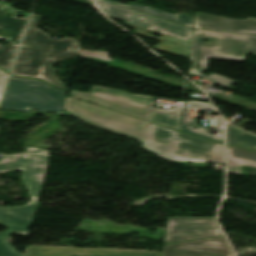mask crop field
<instances>
[{
  "label": "crop field",
  "instance_id": "1",
  "mask_svg": "<svg viewBox=\"0 0 256 256\" xmlns=\"http://www.w3.org/2000/svg\"><path fill=\"white\" fill-rule=\"evenodd\" d=\"M40 18L39 15H32L16 60L26 62L21 76L43 79L59 89H67L68 85L57 78V69L53 66L54 63L68 58L76 59L80 44L76 39L69 37L51 39L47 33L37 28Z\"/></svg>",
  "mask_w": 256,
  "mask_h": 256
},
{
  "label": "crop field",
  "instance_id": "2",
  "mask_svg": "<svg viewBox=\"0 0 256 256\" xmlns=\"http://www.w3.org/2000/svg\"><path fill=\"white\" fill-rule=\"evenodd\" d=\"M142 148L174 161H196L224 164L223 145L149 124Z\"/></svg>",
  "mask_w": 256,
  "mask_h": 256
},
{
  "label": "crop field",
  "instance_id": "3",
  "mask_svg": "<svg viewBox=\"0 0 256 256\" xmlns=\"http://www.w3.org/2000/svg\"><path fill=\"white\" fill-rule=\"evenodd\" d=\"M245 54L256 55L255 35L193 30L190 73L198 75L205 70L208 58L243 61Z\"/></svg>",
  "mask_w": 256,
  "mask_h": 256
},
{
  "label": "crop field",
  "instance_id": "4",
  "mask_svg": "<svg viewBox=\"0 0 256 256\" xmlns=\"http://www.w3.org/2000/svg\"><path fill=\"white\" fill-rule=\"evenodd\" d=\"M66 94L39 80L11 76L0 109L61 114Z\"/></svg>",
  "mask_w": 256,
  "mask_h": 256
},
{
  "label": "crop field",
  "instance_id": "5",
  "mask_svg": "<svg viewBox=\"0 0 256 256\" xmlns=\"http://www.w3.org/2000/svg\"><path fill=\"white\" fill-rule=\"evenodd\" d=\"M64 108L87 124L134 138L138 140V143L143 142L149 124L148 122L69 96Z\"/></svg>",
  "mask_w": 256,
  "mask_h": 256
},
{
  "label": "crop field",
  "instance_id": "6",
  "mask_svg": "<svg viewBox=\"0 0 256 256\" xmlns=\"http://www.w3.org/2000/svg\"><path fill=\"white\" fill-rule=\"evenodd\" d=\"M50 155L16 154L5 156L0 161V173L15 169L22 171L21 179L28 189L31 200L29 203L14 207H1L0 210L27 219H32L41 192L43 179Z\"/></svg>",
  "mask_w": 256,
  "mask_h": 256
},
{
  "label": "crop field",
  "instance_id": "7",
  "mask_svg": "<svg viewBox=\"0 0 256 256\" xmlns=\"http://www.w3.org/2000/svg\"><path fill=\"white\" fill-rule=\"evenodd\" d=\"M69 95L92 101L137 117L150 118L155 97L93 86L90 93L70 91Z\"/></svg>",
  "mask_w": 256,
  "mask_h": 256
},
{
  "label": "crop field",
  "instance_id": "8",
  "mask_svg": "<svg viewBox=\"0 0 256 256\" xmlns=\"http://www.w3.org/2000/svg\"><path fill=\"white\" fill-rule=\"evenodd\" d=\"M222 236L215 218L169 217L164 245Z\"/></svg>",
  "mask_w": 256,
  "mask_h": 256
},
{
  "label": "crop field",
  "instance_id": "9",
  "mask_svg": "<svg viewBox=\"0 0 256 256\" xmlns=\"http://www.w3.org/2000/svg\"><path fill=\"white\" fill-rule=\"evenodd\" d=\"M96 4L99 9L108 16L191 42L192 29L147 16L101 0H96Z\"/></svg>",
  "mask_w": 256,
  "mask_h": 256
},
{
  "label": "crop field",
  "instance_id": "10",
  "mask_svg": "<svg viewBox=\"0 0 256 256\" xmlns=\"http://www.w3.org/2000/svg\"><path fill=\"white\" fill-rule=\"evenodd\" d=\"M17 13H22L25 17L16 18ZM28 16V13L15 10L10 5L0 3V39L10 42L9 45L0 44V67L4 70L10 69L26 27Z\"/></svg>",
  "mask_w": 256,
  "mask_h": 256
},
{
  "label": "crop field",
  "instance_id": "11",
  "mask_svg": "<svg viewBox=\"0 0 256 256\" xmlns=\"http://www.w3.org/2000/svg\"><path fill=\"white\" fill-rule=\"evenodd\" d=\"M163 256H233L223 237L164 246Z\"/></svg>",
  "mask_w": 256,
  "mask_h": 256
},
{
  "label": "crop field",
  "instance_id": "12",
  "mask_svg": "<svg viewBox=\"0 0 256 256\" xmlns=\"http://www.w3.org/2000/svg\"><path fill=\"white\" fill-rule=\"evenodd\" d=\"M23 256H160L161 252L62 247H26Z\"/></svg>",
  "mask_w": 256,
  "mask_h": 256
},
{
  "label": "crop field",
  "instance_id": "13",
  "mask_svg": "<svg viewBox=\"0 0 256 256\" xmlns=\"http://www.w3.org/2000/svg\"><path fill=\"white\" fill-rule=\"evenodd\" d=\"M194 29H206L256 35V18L229 19L195 12Z\"/></svg>",
  "mask_w": 256,
  "mask_h": 256
},
{
  "label": "crop field",
  "instance_id": "14",
  "mask_svg": "<svg viewBox=\"0 0 256 256\" xmlns=\"http://www.w3.org/2000/svg\"><path fill=\"white\" fill-rule=\"evenodd\" d=\"M32 221L23 219L0 211V224L9 227L5 232H0V256H22L6 241L10 233H18L27 236Z\"/></svg>",
  "mask_w": 256,
  "mask_h": 256
},
{
  "label": "crop field",
  "instance_id": "15",
  "mask_svg": "<svg viewBox=\"0 0 256 256\" xmlns=\"http://www.w3.org/2000/svg\"><path fill=\"white\" fill-rule=\"evenodd\" d=\"M125 25H128L132 28L135 29V33L142 35L144 37L147 38H155L152 35L154 33H158L146 28H142L136 25H132V24H128L126 23ZM149 32H152L151 34H148ZM161 34V33H159ZM159 41H161L162 43L152 47L154 49H157L159 51L162 52H167V53H172V54H176V55H180L182 57H188L189 58V52H190V43L184 42L182 40L167 36L162 34V36L160 38H155Z\"/></svg>",
  "mask_w": 256,
  "mask_h": 256
},
{
  "label": "crop field",
  "instance_id": "16",
  "mask_svg": "<svg viewBox=\"0 0 256 256\" xmlns=\"http://www.w3.org/2000/svg\"><path fill=\"white\" fill-rule=\"evenodd\" d=\"M116 5H120L147 15H151L163 20H167L182 26H186L189 28L193 29V20L194 17L190 16V15H175V14H167L166 12H163L161 10L155 9V8H151V7H147V6H143L141 4L138 3H134V4H130V5H124L112 0H104Z\"/></svg>",
  "mask_w": 256,
  "mask_h": 256
},
{
  "label": "crop field",
  "instance_id": "17",
  "mask_svg": "<svg viewBox=\"0 0 256 256\" xmlns=\"http://www.w3.org/2000/svg\"><path fill=\"white\" fill-rule=\"evenodd\" d=\"M228 173L241 174L240 165L256 167V153L227 145Z\"/></svg>",
  "mask_w": 256,
  "mask_h": 256
},
{
  "label": "crop field",
  "instance_id": "18",
  "mask_svg": "<svg viewBox=\"0 0 256 256\" xmlns=\"http://www.w3.org/2000/svg\"><path fill=\"white\" fill-rule=\"evenodd\" d=\"M189 110L190 108H183L182 116H181V124H180V130L189 134L205 137L211 140H223V128L215 134L210 135L208 134V128H201L200 126L196 125V120L189 118Z\"/></svg>",
  "mask_w": 256,
  "mask_h": 256
},
{
  "label": "crop field",
  "instance_id": "19",
  "mask_svg": "<svg viewBox=\"0 0 256 256\" xmlns=\"http://www.w3.org/2000/svg\"><path fill=\"white\" fill-rule=\"evenodd\" d=\"M227 144L256 151V136L227 125Z\"/></svg>",
  "mask_w": 256,
  "mask_h": 256
},
{
  "label": "crop field",
  "instance_id": "20",
  "mask_svg": "<svg viewBox=\"0 0 256 256\" xmlns=\"http://www.w3.org/2000/svg\"><path fill=\"white\" fill-rule=\"evenodd\" d=\"M181 111V108L173 110H160L153 108L150 121L179 130Z\"/></svg>",
  "mask_w": 256,
  "mask_h": 256
},
{
  "label": "crop field",
  "instance_id": "21",
  "mask_svg": "<svg viewBox=\"0 0 256 256\" xmlns=\"http://www.w3.org/2000/svg\"><path fill=\"white\" fill-rule=\"evenodd\" d=\"M213 74V73H212ZM211 75V74H210ZM199 76L201 77H204V78H207V79H211V80H214L217 82V84L221 85V86H224L228 89H231L232 87H230L234 82H237V81H234L232 79H229V78H226V77H223L221 75H218V74H213L209 77H206L202 74H200ZM237 83H240V82H237Z\"/></svg>",
  "mask_w": 256,
  "mask_h": 256
},
{
  "label": "crop field",
  "instance_id": "22",
  "mask_svg": "<svg viewBox=\"0 0 256 256\" xmlns=\"http://www.w3.org/2000/svg\"><path fill=\"white\" fill-rule=\"evenodd\" d=\"M97 53H105V55H101V54H97ZM78 55L92 57V58H99V59L105 60V61H114L107 57V52L81 49Z\"/></svg>",
  "mask_w": 256,
  "mask_h": 256
},
{
  "label": "crop field",
  "instance_id": "23",
  "mask_svg": "<svg viewBox=\"0 0 256 256\" xmlns=\"http://www.w3.org/2000/svg\"><path fill=\"white\" fill-rule=\"evenodd\" d=\"M24 64H25V63L16 62V63H15V66H14V68H13L12 74H14V75H19V76H20Z\"/></svg>",
  "mask_w": 256,
  "mask_h": 256
},
{
  "label": "crop field",
  "instance_id": "24",
  "mask_svg": "<svg viewBox=\"0 0 256 256\" xmlns=\"http://www.w3.org/2000/svg\"><path fill=\"white\" fill-rule=\"evenodd\" d=\"M7 75H8V73H6L0 69V95H1L2 89L4 87Z\"/></svg>",
  "mask_w": 256,
  "mask_h": 256
},
{
  "label": "crop field",
  "instance_id": "25",
  "mask_svg": "<svg viewBox=\"0 0 256 256\" xmlns=\"http://www.w3.org/2000/svg\"><path fill=\"white\" fill-rule=\"evenodd\" d=\"M64 1L78 2V3H84V4L92 5V3L81 1V0H64Z\"/></svg>",
  "mask_w": 256,
  "mask_h": 256
},
{
  "label": "crop field",
  "instance_id": "26",
  "mask_svg": "<svg viewBox=\"0 0 256 256\" xmlns=\"http://www.w3.org/2000/svg\"><path fill=\"white\" fill-rule=\"evenodd\" d=\"M86 1H90V2H92V0H86Z\"/></svg>",
  "mask_w": 256,
  "mask_h": 256
}]
</instances>
